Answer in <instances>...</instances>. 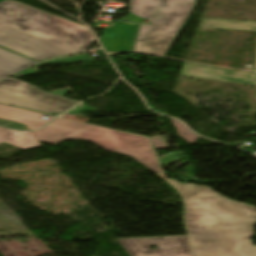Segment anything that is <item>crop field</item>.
<instances>
[{
    "instance_id": "1",
    "label": "crop field",
    "mask_w": 256,
    "mask_h": 256,
    "mask_svg": "<svg viewBox=\"0 0 256 256\" xmlns=\"http://www.w3.org/2000/svg\"><path fill=\"white\" fill-rule=\"evenodd\" d=\"M186 203L185 222L196 256H256L248 240L253 206L229 200L207 186L169 181Z\"/></svg>"
},
{
    "instance_id": "2",
    "label": "crop field",
    "mask_w": 256,
    "mask_h": 256,
    "mask_svg": "<svg viewBox=\"0 0 256 256\" xmlns=\"http://www.w3.org/2000/svg\"><path fill=\"white\" fill-rule=\"evenodd\" d=\"M85 26L14 0L0 3V46L41 61L85 51L94 41Z\"/></svg>"
},
{
    "instance_id": "3",
    "label": "crop field",
    "mask_w": 256,
    "mask_h": 256,
    "mask_svg": "<svg viewBox=\"0 0 256 256\" xmlns=\"http://www.w3.org/2000/svg\"><path fill=\"white\" fill-rule=\"evenodd\" d=\"M195 4L196 0H130L126 21H151L140 26L133 51L165 57Z\"/></svg>"
},
{
    "instance_id": "4",
    "label": "crop field",
    "mask_w": 256,
    "mask_h": 256,
    "mask_svg": "<svg viewBox=\"0 0 256 256\" xmlns=\"http://www.w3.org/2000/svg\"><path fill=\"white\" fill-rule=\"evenodd\" d=\"M38 141L56 144L66 139L91 141L107 151L130 155L153 172L159 169L146 137L90 126L62 118L41 130L34 131Z\"/></svg>"
},
{
    "instance_id": "5",
    "label": "crop field",
    "mask_w": 256,
    "mask_h": 256,
    "mask_svg": "<svg viewBox=\"0 0 256 256\" xmlns=\"http://www.w3.org/2000/svg\"><path fill=\"white\" fill-rule=\"evenodd\" d=\"M0 102L48 114L63 113L78 103L11 77L0 82Z\"/></svg>"
},
{
    "instance_id": "6",
    "label": "crop field",
    "mask_w": 256,
    "mask_h": 256,
    "mask_svg": "<svg viewBox=\"0 0 256 256\" xmlns=\"http://www.w3.org/2000/svg\"><path fill=\"white\" fill-rule=\"evenodd\" d=\"M199 27L256 31V22L202 18ZM179 75L223 80L256 86V59L254 73L184 63Z\"/></svg>"
},
{
    "instance_id": "7",
    "label": "crop field",
    "mask_w": 256,
    "mask_h": 256,
    "mask_svg": "<svg viewBox=\"0 0 256 256\" xmlns=\"http://www.w3.org/2000/svg\"><path fill=\"white\" fill-rule=\"evenodd\" d=\"M130 256H194L187 236L118 239ZM156 245L151 251L149 247Z\"/></svg>"
},
{
    "instance_id": "8",
    "label": "crop field",
    "mask_w": 256,
    "mask_h": 256,
    "mask_svg": "<svg viewBox=\"0 0 256 256\" xmlns=\"http://www.w3.org/2000/svg\"><path fill=\"white\" fill-rule=\"evenodd\" d=\"M136 24L116 22L112 29H105L100 42L105 50L131 51L138 30Z\"/></svg>"
},
{
    "instance_id": "9",
    "label": "crop field",
    "mask_w": 256,
    "mask_h": 256,
    "mask_svg": "<svg viewBox=\"0 0 256 256\" xmlns=\"http://www.w3.org/2000/svg\"><path fill=\"white\" fill-rule=\"evenodd\" d=\"M44 116L46 115L5 105H0V118L24 123L28 126L29 130L39 128L44 124L48 123L53 118H55L47 116L49 118L47 121H45L42 119V117Z\"/></svg>"
},
{
    "instance_id": "10",
    "label": "crop field",
    "mask_w": 256,
    "mask_h": 256,
    "mask_svg": "<svg viewBox=\"0 0 256 256\" xmlns=\"http://www.w3.org/2000/svg\"><path fill=\"white\" fill-rule=\"evenodd\" d=\"M35 64L34 61L0 48V81Z\"/></svg>"
},
{
    "instance_id": "11",
    "label": "crop field",
    "mask_w": 256,
    "mask_h": 256,
    "mask_svg": "<svg viewBox=\"0 0 256 256\" xmlns=\"http://www.w3.org/2000/svg\"><path fill=\"white\" fill-rule=\"evenodd\" d=\"M3 141L20 149H30L41 146L32 132L21 133L0 127V143Z\"/></svg>"
},
{
    "instance_id": "12",
    "label": "crop field",
    "mask_w": 256,
    "mask_h": 256,
    "mask_svg": "<svg viewBox=\"0 0 256 256\" xmlns=\"http://www.w3.org/2000/svg\"><path fill=\"white\" fill-rule=\"evenodd\" d=\"M88 61H94V59L88 57L86 54L81 56H72L67 58H60V59H53L48 62H45L41 65L46 64H60V63H75V62H88ZM39 65V66H41Z\"/></svg>"
},
{
    "instance_id": "13",
    "label": "crop field",
    "mask_w": 256,
    "mask_h": 256,
    "mask_svg": "<svg viewBox=\"0 0 256 256\" xmlns=\"http://www.w3.org/2000/svg\"><path fill=\"white\" fill-rule=\"evenodd\" d=\"M94 111H97V110H95L92 107L82 103L79 106H77L76 108L69 111L67 114L79 115L81 112H94Z\"/></svg>"
},
{
    "instance_id": "14",
    "label": "crop field",
    "mask_w": 256,
    "mask_h": 256,
    "mask_svg": "<svg viewBox=\"0 0 256 256\" xmlns=\"http://www.w3.org/2000/svg\"><path fill=\"white\" fill-rule=\"evenodd\" d=\"M0 125L15 128V129H20V130H23V131H28L27 126H25L24 124H21V123L13 122V121H10L6 124H1L0 123Z\"/></svg>"
},
{
    "instance_id": "15",
    "label": "crop field",
    "mask_w": 256,
    "mask_h": 256,
    "mask_svg": "<svg viewBox=\"0 0 256 256\" xmlns=\"http://www.w3.org/2000/svg\"><path fill=\"white\" fill-rule=\"evenodd\" d=\"M33 73H35L34 70L28 69V70H26L25 72L22 73V76L31 75V74H33Z\"/></svg>"
},
{
    "instance_id": "16",
    "label": "crop field",
    "mask_w": 256,
    "mask_h": 256,
    "mask_svg": "<svg viewBox=\"0 0 256 256\" xmlns=\"http://www.w3.org/2000/svg\"><path fill=\"white\" fill-rule=\"evenodd\" d=\"M7 120H2V119H0V122H6Z\"/></svg>"
},
{
    "instance_id": "17",
    "label": "crop field",
    "mask_w": 256,
    "mask_h": 256,
    "mask_svg": "<svg viewBox=\"0 0 256 256\" xmlns=\"http://www.w3.org/2000/svg\"><path fill=\"white\" fill-rule=\"evenodd\" d=\"M3 1V0H0V2Z\"/></svg>"
}]
</instances>
